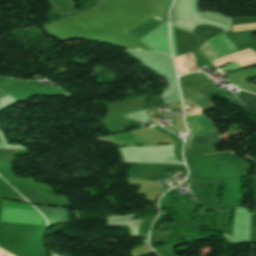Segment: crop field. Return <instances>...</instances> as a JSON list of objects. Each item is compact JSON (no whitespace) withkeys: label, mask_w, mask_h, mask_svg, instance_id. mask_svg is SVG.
I'll use <instances>...</instances> for the list:
<instances>
[{"label":"crop field","mask_w":256,"mask_h":256,"mask_svg":"<svg viewBox=\"0 0 256 256\" xmlns=\"http://www.w3.org/2000/svg\"><path fill=\"white\" fill-rule=\"evenodd\" d=\"M5 95H8V94L0 89V97L5 96Z\"/></svg>","instance_id":"obj_6"},{"label":"crop field","mask_w":256,"mask_h":256,"mask_svg":"<svg viewBox=\"0 0 256 256\" xmlns=\"http://www.w3.org/2000/svg\"><path fill=\"white\" fill-rule=\"evenodd\" d=\"M0 148H4L3 145H2V143H1V141H0Z\"/></svg>","instance_id":"obj_7"},{"label":"crop field","mask_w":256,"mask_h":256,"mask_svg":"<svg viewBox=\"0 0 256 256\" xmlns=\"http://www.w3.org/2000/svg\"><path fill=\"white\" fill-rule=\"evenodd\" d=\"M20 194H22L30 203L51 205L53 206L46 197L37 189L33 188H16Z\"/></svg>","instance_id":"obj_2"},{"label":"crop field","mask_w":256,"mask_h":256,"mask_svg":"<svg viewBox=\"0 0 256 256\" xmlns=\"http://www.w3.org/2000/svg\"><path fill=\"white\" fill-rule=\"evenodd\" d=\"M239 99L243 104L256 111V95L246 92Z\"/></svg>","instance_id":"obj_5"},{"label":"crop field","mask_w":256,"mask_h":256,"mask_svg":"<svg viewBox=\"0 0 256 256\" xmlns=\"http://www.w3.org/2000/svg\"><path fill=\"white\" fill-rule=\"evenodd\" d=\"M35 207L38 210H40L43 213V215L46 217L48 226L66 222L69 220V214L66 209L50 208V207H43V206H35Z\"/></svg>","instance_id":"obj_1"},{"label":"crop field","mask_w":256,"mask_h":256,"mask_svg":"<svg viewBox=\"0 0 256 256\" xmlns=\"http://www.w3.org/2000/svg\"><path fill=\"white\" fill-rule=\"evenodd\" d=\"M219 140L217 132L194 136L191 139L189 148L215 145Z\"/></svg>","instance_id":"obj_3"},{"label":"crop field","mask_w":256,"mask_h":256,"mask_svg":"<svg viewBox=\"0 0 256 256\" xmlns=\"http://www.w3.org/2000/svg\"><path fill=\"white\" fill-rule=\"evenodd\" d=\"M16 150H3L0 149V163L11 164L15 157Z\"/></svg>","instance_id":"obj_4"}]
</instances>
